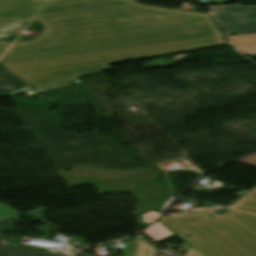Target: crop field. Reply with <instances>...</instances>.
I'll return each mask as SVG.
<instances>
[{
	"instance_id": "1",
	"label": "crop field",
	"mask_w": 256,
	"mask_h": 256,
	"mask_svg": "<svg viewBox=\"0 0 256 256\" xmlns=\"http://www.w3.org/2000/svg\"><path fill=\"white\" fill-rule=\"evenodd\" d=\"M32 41L0 44L10 64L222 35L212 15L139 5L134 0H49Z\"/></svg>"
},
{
	"instance_id": "2",
	"label": "crop field",
	"mask_w": 256,
	"mask_h": 256,
	"mask_svg": "<svg viewBox=\"0 0 256 256\" xmlns=\"http://www.w3.org/2000/svg\"><path fill=\"white\" fill-rule=\"evenodd\" d=\"M228 208L220 216L204 211L159 222L205 256H256V187Z\"/></svg>"
},
{
	"instance_id": "3",
	"label": "crop field",
	"mask_w": 256,
	"mask_h": 256,
	"mask_svg": "<svg viewBox=\"0 0 256 256\" xmlns=\"http://www.w3.org/2000/svg\"><path fill=\"white\" fill-rule=\"evenodd\" d=\"M226 43L225 38H215L159 48L118 52L49 62L12 66L10 69L32 86L75 76L108 70V64L167 55L182 50Z\"/></svg>"
},
{
	"instance_id": "4",
	"label": "crop field",
	"mask_w": 256,
	"mask_h": 256,
	"mask_svg": "<svg viewBox=\"0 0 256 256\" xmlns=\"http://www.w3.org/2000/svg\"><path fill=\"white\" fill-rule=\"evenodd\" d=\"M227 35L256 32V6L210 5Z\"/></svg>"
},
{
	"instance_id": "5",
	"label": "crop field",
	"mask_w": 256,
	"mask_h": 256,
	"mask_svg": "<svg viewBox=\"0 0 256 256\" xmlns=\"http://www.w3.org/2000/svg\"><path fill=\"white\" fill-rule=\"evenodd\" d=\"M45 0H0V25L18 19L30 20Z\"/></svg>"
},
{
	"instance_id": "6",
	"label": "crop field",
	"mask_w": 256,
	"mask_h": 256,
	"mask_svg": "<svg viewBox=\"0 0 256 256\" xmlns=\"http://www.w3.org/2000/svg\"><path fill=\"white\" fill-rule=\"evenodd\" d=\"M134 239H135L134 242L128 244L125 247L122 256H155L156 255L158 248H156L154 245H152L142 236L139 235ZM177 239H179L181 242L184 243L180 247L189 251L186 256H204L203 254L195 250L193 247L185 243L180 238L177 237Z\"/></svg>"
},
{
	"instance_id": "7",
	"label": "crop field",
	"mask_w": 256,
	"mask_h": 256,
	"mask_svg": "<svg viewBox=\"0 0 256 256\" xmlns=\"http://www.w3.org/2000/svg\"><path fill=\"white\" fill-rule=\"evenodd\" d=\"M19 223V215L0 222V228ZM0 256H53L43 250L23 248L8 244L0 233Z\"/></svg>"
},
{
	"instance_id": "8",
	"label": "crop field",
	"mask_w": 256,
	"mask_h": 256,
	"mask_svg": "<svg viewBox=\"0 0 256 256\" xmlns=\"http://www.w3.org/2000/svg\"><path fill=\"white\" fill-rule=\"evenodd\" d=\"M26 87L29 85L10 70L0 74V94L14 92Z\"/></svg>"
},
{
	"instance_id": "9",
	"label": "crop field",
	"mask_w": 256,
	"mask_h": 256,
	"mask_svg": "<svg viewBox=\"0 0 256 256\" xmlns=\"http://www.w3.org/2000/svg\"><path fill=\"white\" fill-rule=\"evenodd\" d=\"M231 43L245 55L256 54V34L229 37Z\"/></svg>"
},
{
	"instance_id": "10",
	"label": "crop field",
	"mask_w": 256,
	"mask_h": 256,
	"mask_svg": "<svg viewBox=\"0 0 256 256\" xmlns=\"http://www.w3.org/2000/svg\"><path fill=\"white\" fill-rule=\"evenodd\" d=\"M143 233H145L147 236H149L151 239H153L157 243L172 236V234H170L166 229H164L157 222L150 229H148Z\"/></svg>"
},
{
	"instance_id": "11",
	"label": "crop field",
	"mask_w": 256,
	"mask_h": 256,
	"mask_svg": "<svg viewBox=\"0 0 256 256\" xmlns=\"http://www.w3.org/2000/svg\"><path fill=\"white\" fill-rule=\"evenodd\" d=\"M18 214L19 212L11 209L10 206L0 203V220L7 219Z\"/></svg>"
},
{
	"instance_id": "12",
	"label": "crop field",
	"mask_w": 256,
	"mask_h": 256,
	"mask_svg": "<svg viewBox=\"0 0 256 256\" xmlns=\"http://www.w3.org/2000/svg\"><path fill=\"white\" fill-rule=\"evenodd\" d=\"M78 78H71V79H67V80H62V81H58V82H65V81H73V80H77ZM57 86V82H53V83H49V84H45V85H40V86H36L35 89L37 91L40 90H44V89H48V88H52V87H56Z\"/></svg>"
},
{
	"instance_id": "13",
	"label": "crop field",
	"mask_w": 256,
	"mask_h": 256,
	"mask_svg": "<svg viewBox=\"0 0 256 256\" xmlns=\"http://www.w3.org/2000/svg\"><path fill=\"white\" fill-rule=\"evenodd\" d=\"M221 37V36H220ZM215 38V37H213ZM206 39H209V38H206ZM199 40H203V39H199ZM192 41H196V40H192ZM186 42H190V41H186ZM179 43H184V42H179ZM172 44H177V43H172ZM165 45H171V44H165ZM165 45H158V46H151V47H159V46H165ZM151 47H144V48H151ZM136 49H143V48H136ZM129 50H135V49H129ZM122 51H127V50H122ZM115 52H118V51H115ZM110 53V52H108ZM102 54V53H100ZM94 55V54H93ZM86 56V55H85ZM76 57H79V56H76ZM66 58H71V57H66ZM57 59H64V58H57ZM57 59H49V60H57ZM41 61H48V60H41ZM34 62H38V61H34ZM28 63V62H26ZM21 64V63H20ZM15 65V64H14ZM12 66V65H11ZM10 66V67H11ZM10 69V68H9Z\"/></svg>"
},
{
	"instance_id": "14",
	"label": "crop field",
	"mask_w": 256,
	"mask_h": 256,
	"mask_svg": "<svg viewBox=\"0 0 256 256\" xmlns=\"http://www.w3.org/2000/svg\"><path fill=\"white\" fill-rule=\"evenodd\" d=\"M161 214L155 213V212H149V214L143 215L145 217L146 223L150 224L153 222L155 219H157ZM152 219V220H149Z\"/></svg>"
},
{
	"instance_id": "15",
	"label": "crop field",
	"mask_w": 256,
	"mask_h": 256,
	"mask_svg": "<svg viewBox=\"0 0 256 256\" xmlns=\"http://www.w3.org/2000/svg\"><path fill=\"white\" fill-rule=\"evenodd\" d=\"M6 69H8V68H6L4 65H2V64L0 63V72L3 71V70H6Z\"/></svg>"
},
{
	"instance_id": "16",
	"label": "crop field",
	"mask_w": 256,
	"mask_h": 256,
	"mask_svg": "<svg viewBox=\"0 0 256 256\" xmlns=\"http://www.w3.org/2000/svg\"><path fill=\"white\" fill-rule=\"evenodd\" d=\"M76 256H89V255H87V254L81 252V253L77 254Z\"/></svg>"
}]
</instances>
